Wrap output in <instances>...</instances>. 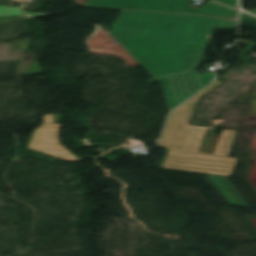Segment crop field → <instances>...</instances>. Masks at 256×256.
<instances>
[{"label":"crop field","instance_id":"1","mask_svg":"<svg viewBox=\"0 0 256 256\" xmlns=\"http://www.w3.org/2000/svg\"><path fill=\"white\" fill-rule=\"evenodd\" d=\"M202 18L122 10L110 34L156 78L181 72L183 47L200 44Z\"/></svg>","mask_w":256,"mask_h":256},{"label":"crop field","instance_id":"2","mask_svg":"<svg viewBox=\"0 0 256 256\" xmlns=\"http://www.w3.org/2000/svg\"><path fill=\"white\" fill-rule=\"evenodd\" d=\"M191 0H91L85 6L112 7L131 10L176 12L236 18V11L214 2L200 8L190 7Z\"/></svg>","mask_w":256,"mask_h":256},{"label":"crop field","instance_id":"3","mask_svg":"<svg viewBox=\"0 0 256 256\" xmlns=\"http://www.w3.org/2000/svg\"><path fill=\"white\" fill-rule=\"evenodd\" d=\"M213 130L178 125L169 150L228 156L237 131L223 130L219 137Z\"/></svg>","mask_w":256,"mask_h":256},{"label":"crop field","instance_id":"4","mask_svg":"<svg viewBox=\"0 0 256 256\" xmlns=\"http://www.w3.org/2000/svg\"><path fill=\"white\" fill-rule=\"evenodd\" d=\"M237 159L169 151L162 168L230 176Z\"/></svg>","mask_w":256,"mask_h":256},{"label":"crop field","instance_id":"5","mask_svg":"<svg viewBox=\"0 0 256 256\" xmlns=\"http://www.w3.org/2000/svg\"><path fill=\"white\" fill-rule=\"evenodd\" d=\"M214 80V74L196 75L195 70L148 80L149 83L161 82L168 101L169 110L178 106L186 98L201 90ZM187 100V99H186Z\"/></svg>","mask_w":256,"mask_h":256},{"label":"crop field","instance_id":"6","mask_svg":"<svg viewBox=\"0 0 256 256\" xmlns=\"http://www.w3.org/2000/svg\"><path fill=\"white\" fill-rule=\"evenodd\" d=\"M61 124H54V114L44 116V124L35 130L28 149L63 159L65 161H82L60 145L58 132Z\"/></svg>","mask_w":256,"mask_h":256},{"label":"crop field","instance_id":"7","mask_svg":"<svg viewBox=\"0 0 256 256\" xmlns=\"http://www.w3.org/2000/svg\"><path fill=\"white\" fill-rule=\"evenodd\" d=\"M236 24V19L204 16L201 45L197 49L184 48L182 72L196 68L214 29H232Z\"/></svg>","mask_w":256,"mask_h":256},{"label":"crop field","instance_id":"8","mask_svg":"<svg viewBox=\"0 0 256 256\" xmlns=\"http://www.w3.org/2000/svg\"><path fill=\"white\" fill-rule=\"evenodd\" d=\"M207 175L213 181V183L218 187V189L222 192V194L225 196V198L228 200L229 203L244 205V206L248 205L246 201L241 197V195L236 191V189L232 186V184L227 180L226 177L209 175V174ZM220 180H222L225 185H223ZM227 189H229L230 192H228ZM233 196H235L236 198L234 199Z\"/></svg>","mask_w":256,"mask_h":256},{"label":"crop field","instance_id":"9","mask_svg":"<svg viewBox=\"0 0 256 256\" xmlns=\"http://www.w3.org/2000/svg\"><path fill=\"white\" fill-rule=\"evenodd\" d=\"M221 83H223V82H221L219 80L216 81L214 84L209 86L207 89H205L200 94H198L196 97H194L192 100H190L188 103H186L178 124L189 125L198 99L201 98L202 96H204L205 94H207L208 92H210L212 89H214Z\"/></svg>","mask_w":256,"mask_h":256},{"label":"crop field","instance_id":"10","mask_svg":"<svg viewBox=\"0 0 256 256\" xmlns=\"http://www.w3.org/2000/svg\"><path fill=\"white\" fill-rule=\"evenodd\" d=\"M183 107L184 105L171 113L159 146L165 147V148L169 147L175 128L177 126L180 115L182 113Z\"/></svg>","mask_w":256,"mask_h":256},{"label":"crop field","instance_id":"11","mask_svg":"<svg viewBox=\"0 0 256 256\" xmlns=\"http://www.w3.org/2000/svg\"><path fill=\"white\" fill-rule=\"evenodd\" d=\"M241 21L256 23V18L250 15L241 13Z\"/></svg>","mask_w":256,"mask_h":256},{"label":"crop field","instance_id":"12","mask_svg":"<svg viewBox=\"0 0 256 256\" xmlns=\"http://www.w3.org/2000/svg\"><path fill=\"white\" fill-rule=\"evenodd\" d=\"M216 1H219L221 3H224V4H227V5H230V6H233V7L237 8L238 0H216Z\"/></svg>","mask_w":256,"mask_h":256},{"label":"crop field","instance_id":"13","mask_svg":"<svg viewBox=\"0 0 256 256\" xmlns=\"http://www.w3.org/2000/svg\"><path fill=\"white\" fill-rule=\"evenodd\" d=\"M248 11H251V12H254V13H256V9H253V10H248Z\"/></svg>","mask_w":256,"mask_h":256}]
</instances>
